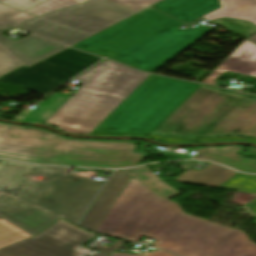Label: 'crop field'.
I'll use <instances>...</instances> for the list:
<instances>
[{
	"label": "crop field",
	"mask_w": 256,
	"mask_h": 256,
	"mask_svg": "<svg viewBox=\"0 0 256 256\" xmlns=\"http://www.w3.org/2000/svg\"><path fill=\"white\" fill-rule=\"evenodd\" d=\"M75 80L82 86L72 97L52 93L13 120L44 122L75 134L147 135L198 85L110 61Z\"/></svg>",
	"instance_id": "crop-field-1"
},
{
	"label": "crop field",
	"mask_w": 256,
	"mask_h": 256,
	"mask_svg": "<svg viewBox=\"0 0 256 256\" xmlns=\"http://www.w3.org/2000/svg\"><path fill=\"white\" fill-rule=\"evenodd\" d=\"M95 232L138 242L142 235L177 256H256L244 232L186 215L132 178Z\"/></svg>",
	"instance_id": "crop-field-2"
},
{
	"label": "crop field",
	"mask_w": 256,
	"mask_h": 256,
	"mask_svg": "<svg viewBox=\"0 0 256 256\" xmlns=\"http://www.w3.org/2000/svg\"><path fill=\"white\" fill-rule=\"evenodd\" d=\"M182 25L184 24L148 9L72 46L152 72L212 29L197 26L181 30L178 27Z\"/></svg>",
	"instance_id": "crop-field-3"
},
{
	"label": "crop field",
	"mask_w": 256,
	"mask_h": 256,
	"mask_svg": "<svg viewBox=\"0 0 256 256\" xmlns=\"http://www.w3.org/2000/svg\"><path fill=\"white\" fill-rule=\"evenodd\" d=\"M131 142L68 140L39 128L0 124V158L38 164L132 167L147 154ZM66 154V155H65Z\"/></svg>",
	"instance_id": "crop-field-4"
},
{
	"label": "crop field",
	"mask_w": 256,
	"mask_h": 256,
	"mask_svg": "<svg viewBox=\"0 0 256 256\" xmlns=\"http://www.w3.org/2000/svg\"><path fill=\"white\" fill-rule=\"evenodd\" d=\"M150 134L256 139V96L199 84Z\"/></svg>",
	"instance_id": "crop-field-5"
},
{
	"label": "crop field",
	"mask_w": 256,
	"mask_h": 256,
	"mask_svg": "<svg viewBox=\"0 0 256 256\" xmlns=\"http://www.w3.org/2000/svg\"><path fill=\"white\" fill-rule=\"evenodd\" d=\"M68 169L3 161L0 191L75 223L103 182L66 174ZM32 174L45 178L30 181Z\"/></svg>",
	"instance_id": "crop-field-6"
},
{
	"label": "crop field",
	"mask_w": 256,
	"mask_h": 256,
	"mask_svg": "<svg viewBox=\"0 0 256 256\" xmlns=\"http://www.w3.org/2000/svg\"><path fill=\"white\" fill-rule=\"evenodd\" d=\"M132 15L106 1L90 3L54 12L19 28L52 40L72 44Z\"/></svg>",
	"instance_id": "crop-field-7"
},
{
	"label": "crop field",
	"mask_w": 256,
	"mask_h": 256,
	"mask_svg": "<svg viewBox=\"0 0 256 256\" xmlns=\"http://www.w3.org/2000/svg\"><path fill=\"white\" fill-rule=\"evenodd\" d=\"M99 60L100 57L67 48L30 67L22 66L0 80L45 95Z\"/></svg>",
	"instance_id": "crop-field-8"
},
{
	"label": "crop field",
	"mask_w": 256,
	"mask_h": 256,
	"mask_svg": "<svg viewBox=\"0 0 256 256\" xmlns=\"http://www.w3.org/2000/svg\"><path fill=\"white\" fill-rule=\"evenodd\" d=\"M94 236L60 219L37 236L1 249L0 256H73Z\"/></svg>",
	"instance_id": "crop-field-9"
},
{
	"label": "crop field",
	"mask_w": 256,
	"mask_h": 256,
	"mask_svg": "<svg viewBox=\"0 0 256 256\" xmlns=\"http://www.w3.org/2000/svg\"><path fill=\"white\" fill-rule=\"evenodd\" d=\"M0 216L33 236L58 219L1 194Z\"/></svg>",
	"instance_id": "crop-field-10"
},
{
	"label": "crop field",
	"mask_w": 256,
	"mask_h": 256,
	"mask_svg": "<svg viewBox=\"0 0 256 256\" xmlns=\"http://www.w3.org/2000/svg\"><path fill=\"white\" fill-rule=\"evenodd\" d=\"M0 44L28 66L67 48L32 34L16 42L0 35Z\"/></svg>",
	"instance_id": "crop-field-11"
},
{
	"label": "crop field",
	"mask_w": 256,
	"mask_h": 256,
	"mask_svg": "<svg viewBox=\"0 0 256 256\" xmlns=\"http://www.w3.org/2000/svg\"><path fill=\"white\" fill-rule=\"evenodd\" d=\"M132 176L124 171H115L89 210L80 220L79 225L95 231L107 210L129 182Z\"/></svg>",
	"instance_id": "crop-field-12"
},
{
	"label": "crop field",
	"mask_w": 256,
	"mask_h": 256,
	"mask_svg": "<svg viewBox=\"0 0 256 256\" xmlns=\"http://www.w3.org/2000/svg\"><path fill=\"white\" fill-rule=\"evenodd\" d=\"M152 8L188 23L220 7L218 0H163Z\"/></svg>",
	"instance_id": "crop-field-13"
},
{
	"label": "crop field",
	"mask_w": 256,
	"mask_h": 256,
	"mask_svg": "<svg viewBox=\"0 0 256 256\" xmlns=\"http://www.w3.org/2000/svg\"><path fill=\"white\" fill-rule=\"evenodd\" d=\"M240 147L227 146L224 148H201L194 158L218 162L246 173H256V160H250L237 155Z\"/></svg>",
	"instance_id": "crop-field-14"
},
{
	"label": "crop field",
	"mask_w": 256,
	"mask_h": 256,
	"mask_svg": "<svg viewBox=\"0 0 256 256\" xmlns=\"http://www.w3.org/2000/svg\"><path fill=\"white\" fill-rule=\"evenodd\" d=\"M216 69L256 77V45L246 39Z\"/></svg>",
	"instance_id": "crop-field-15"
},
{
	"label": "crop field",
	"mask_w": 256,
	"mask_h": 256,
	"mask_svg": "<svg viewBox=\"0 0 256 256\" xmlns=\"http://www.w3.org/2000/svg\"><path fill=\"white\" fill-rule=\"evenodd\" d=\"M236 173L237 172L212 163L201 171L189 170L174 181L218 188Z\"/></svg>",
	"instance_id": "crop-field-16"
},
{
	"label": "crop field",
	"mask_w": 256,
	"mask_h": 256,
	"mask_svg": "<svg viewBox=\"0 0 256 256\" xmlns=\"http://www.w3.org/2000/svg\"><path fill=\"white\" fill-rule=\"evenodd\" d=\"M221 8L203 16L211 21L222 17L247 20L256 25V0H219Z\"/></svg>",
	"instance_id": "crop-field-17"
},
{
	"label": "crop field",
	"mask_w": 256,
	"mask_h": 256,
	"mask_svg": "<svg viewBox=\"0 0 256 256\" xmlns=\"http://www.w3.org/2000/svg\"><path fill=\"white\" fill-rule=\"evenodd\" d=\"M125 172L129 173L149 189L154 191L156 194L166 199L180 194L167 183H165L162 179L153 174L146 166L135 169H128L125 170Z\"/></svg>",
	"instance_id": "crop-field-18"
},
{
	"label": "crop field",
	"mask_w": 256,
	"mask_h": 256,
	"mask_svg": "<svg viewBox=\"0 0 256 256\" xmlns=\"http://www.w3.org/2000/svg\"><path fill=\"white\" fill-rule=\"evenodd\" d=\"M219 188L226 190L256 193V176H247L238 173ZM246 206L250 210L254 209L256 207V199L246 204Z\"/></svg>",
	"instance_id": "crop-field-19"
},
{
	"label": "crop field",
	"mask_w": 256,
	"mask_h": 256,
	"mask_svg": "<svg viewBox=\"0 0 256 256\" xmlns=\"http://www.w3.org/2000/svg\"><path fill=\"white\" fill-rule=\"evenodd\" d=\"M29 237H31V235L28 233L6 220L0 219V249Z\"/></svg>",
	"instance_id": "crop-field-20"
},
{
	"label": "crop field",
	"mask_w": 256,
	"mask_h": 256,
	"mask_svg": "<svg viewBox=\"0 0 256 256\" xmlns=\"http://www.w3.org/2000/svg\"><path fill=\"white\" fill-rule=\"evenodd\" d=\"M86 1L88 0H48L26 12L39 16L57 9L70 7Z\"/></svg>",
	"instance_id": "crop-field-21"
},
{
	"label": "crop field",
	"mask_w": 256,
	"mask_h": 256,
	"mask_svg": "<svg viewBox=\"0 0 256 256\" xmlns=\"http://www.w3.org/2000/svg\"><path fill=\"white\" fill-rule=\"evenodd\" d=\"M149 139H155L154 141L163 140L168 143H190V142H209V141H224V140H242L248 142H255L254 139L241 138V137H231V138H210V139H189V138H177V137H165V136H153L147 135Z\"/></svg>",
	"instance_id": "crop-field-22"
},
{
	"label": "crop field",
	"mask_w": 256,
	"mask_h": 256,
	"mask_svg": "<svg viewBox=\"0 0 256 256\" xmlns=\"http://www.w3.org/2000/svg\"><path fill=\"white\" fill-rule=\"evenodd\" d=\"M17 58L0 45V76L22 66Z\"/></svg>",
	"instance_id": "crop-field-23"
},
{
	"label": "crop field",
	"mask_w": 256,
	"mask_h": 256,
	"mask_svg": "<svg viewBox=\"0 0 256 256\" xmlns=\"http://www.w3.org/2000/svg\"><path fill=\"white\" fill-rule=\"evenodd\" d=\"M129 11L138 12L160 0H109Z\"/></svg>",
	"instance_id": "crop-field-24"
},
{
	"label": "crop field",
	"mask_w": 256,
	"mask_h": 256,
	"mask_svg": "<svg viewBox=\"0 0 256 256\" xmlns=\"http://www.w3.org/2000/svg\"><path fill=\"white\" fill-rule=\"evenodd\" d=\"M19 12H21V11L14 10V9H11L9 7H6V6L0 4V29L10 27V26L17 24L18 22L14 21L10 18Z\"/></svg>",
	"instance_id": "crop-field-25"
},
{
	"label": "crop field",
	"mask_w": 256,
	"mask_h": 256,
	"mask_svg": "<svg viewBox=\"0 0 256 256\" xmlns=\"http://www.w3.org/2000/svg\"><path fill=\"white\" fill-rule=\"evenodd\" d=\"M43 0H0L1 3L8 4L22 11L38 4Z\"/></svg>",
	"instance_id": "crop-field-26"
},
{
	"label": "crop field",
	"mask_w": 256,
	"mask_h": 256,
	"mask_svg": "<svg viewBox=\"0 0 256 256\" xmlns=\"http://www.w3.org/2000/svg\"><path fill=\"white\" fill-rule=\"evenodd\" d=\"M122 243H124V241H116L115 243H113L112 245H110L109 247H106L104 245L102 246H99V245H96L93 247V249H97V250H101V251H105V252H109V253H112L116 248H118Z\"/></svg>",
	"instance_id": "crop-field-27"
},
{
	"label": "crop field",
	"mask_w": 256,
	"mask_h": 256,
	"mask_svg": "<svg viewBox=\"0 0 256 256\" xmlns=\"http://www.w3.org/2000/svg\"><path fill=\"white\" fill-rule=\"evenodd\" d=\"M222 73H224V71H218L215 69L202 83L215 85V79Z\"/></svg>",
	"instance_id": "crop-field-28"
},
{
	"label": "crop field",
	"mask_w": 256,
	"mask_h": 256,
	"mask_svg": "<svg viewBox=\"0 0 256 256\" xmlns=\"http://www.w3.org/2000/svg\"><path fill=\"white\" fill-rule=\"evenodd\" d=\"M110 256H139V255H133V254H123V253H112ZM148 256H172L168 253H165L161 250H158Z\"/></svg>",
	"instance_id": "crop-field-29"
},
{
	"label": "crop field",
	"mask_w": 256,
	"mask_h": 256,
	"mask_svg": "<svg viewBox=\"0 0 256 256\" xmlns=\"http://www.w3.org/2000/svg\"><path fill=\"white\" fill-rule=\"evenodd\" d=\"M32 17H35V16H32L30 14L22 12V13L16 15V16H14L12 19H14L16 21H19V22H23V21H25L27 19H30Z\"/></svg>",
	"instance_id": "crop-field-30"
},
{
	"label": "crop field",
	"mask_w": 256,
	"mask_h": 256,
	"mask_svg": "<svg viewBox=\"0 0 256 256\" xmlns=\"http://www.w3.org/2000/svg\"><path fill=\"white\" fill-rule=\"evenodd\" d=\"M94 256H109V254H105V253L98 252V253L95 254Z\"/></svg>",
	"instance_id": "crop-field-31"
},
{
	"label": "crop field",
	"mask_w": 256,
	"mask_h": 256,
	"mask_svg": "<svg viewBox=\"0 0 256 256\" xmlns=\"http://www.w3.org/2000/svg\"><path fill=\"white\" fill-rule=\"evenodd\" d=\"M1 193V192H0ZM1 194H3V193H1ZM5 195V194H4ZM6 196H8V195H6ZM10 197V196H9ZM11 198H13V197H11ZM13 199H15V198H13ZM16 200H18V199H16ZM18 201H20V200H18ZM21 202H23V201H21ZM23 203H25V202H23ZM25 204H27V203H25ZM28 205H30V204H28ZM32 206V205H31ZM33 207H35V206H33ZM37 208V207H36ZM40 209V208H39ZM42 210V209H41ZM47 212V211H46ZM49 213V212H48ZM51 214V213H50ZM52 215H54V214H52ZM54 216H56V215H54ZM56 217H58V216H56ZM58 218H60V217H58Z\"/></svg>",
	"instance_id": "crop-field-32"
},
{
	"label": "crop field",
	"mask_w": 256,
	"mask_h": 256,
	"mask_svg": "<svg viewBox=\"0 0 256 256\" xmlns=\"http://www.w3.org/2000/svg\"><path fill=\"white\" fill-rule=\"evenodd\" d=\"M248 39L256 44V35H254V36H252V37H250Z\"/></svg>",
	"instance_id": "crop-field-33"
},
{
	"label": "crop field",
	"mask_w": 256,
	"mask_h": 256,
	"mask_svg": "<svg viewBox=\"0 0 256 256\" xmlns=\"http://www.w3.org/2000/svg\"><path fill=\"white\" fill-rule=\"evenodd\" d=\"M252 213L254 214V216L256 217V208L254 210H252Z\"/></svg>",
	"instance_id": "crop-field-34"
}]
</instances>
